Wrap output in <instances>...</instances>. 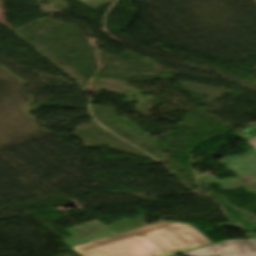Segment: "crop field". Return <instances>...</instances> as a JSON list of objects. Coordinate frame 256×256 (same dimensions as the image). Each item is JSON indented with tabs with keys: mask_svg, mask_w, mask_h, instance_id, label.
I'll use <instances>...</instances> for the list:
<instances>
[{
	"mask_svg": "<svg viewBox=\"0 0 256 256\" xmlns=\"http://www.w3.org/2000/svg\"><path fill=\"white\" fill-rule=\"evenodd\" d=\"M209 244L190 224L162 222L72 248L82 256H171Z\"/></svg>",
	"mask_w": 256,
	"mask_h": 256,
	"instance_id": "1",
	"label": "crop field"
},
{
	"mask_svg": "<svg viewBox=\"0 0 256 256\" xmlns=\"http://www.w3.org/2000/svg\"><path fill=\"white\" fill-rule=\"evenodd\" d=\"M183 254L186 256H256V246L250 240H232Z\"/></svg>",
	"mask_w": 256,
	"mask_h": 256,
	"instance_id": "2",
	"label": "crop field"
},
{
	"mask_svg": "<svg viewBox=\"0 0 256 256\" xmlns=\"http://www.w3.org/2000/svg\"><path fill=\"white\" fill-rule=\"evenodd\" d=\"M222 163L240 176L256 174V150H250L246 155L224 159Z\"/></svg>",
	"mask_w": 256,
	"mask_h": 256,
	"instance_id": "3",
	"label": "crop field"
},
{
	"mask_svg": "<svg viewBox=\"0 0 256 256\" xmlns=\"http://www.w3.org/2000/svg\"><path fill=\"white\" fill-rule=\"evenodd\" d=\"M246 142L256 149V139L250 140V141H246Z\"/></svg>",
	"mask_w": 256,
	"mask_h": 256,
	"instance_id": "4",
	"label": "crop field"
},
{
	"mask_svg": "<svg viewBox=\"0 0 256 256\" xmlns=\"http://www.w3.org/2000/svg\"><path fill=\"white\" fill-rule=\"evenodd\" d=\"M255 242H256V238L255 239H253Z\"/></svg>",
	"mask_w": 256,
	"mask_h": 256,
	"instance_id": "5",
	"label": "crop field"
},
{
	"mask_svg": "<svg viewBox=\"0 0 256 256\" xmlns=\"http://www.w3.org/2000/svg\"><path fill=\"white\" fill-rule=\"evenodd\" d=\"M174 256H176V255H174Z\"/></svg>",
	"mask_w": 256,
	"mask_h": 256,
	"instance_id": "6",
	"label": "crop field"
}]
</instances>
